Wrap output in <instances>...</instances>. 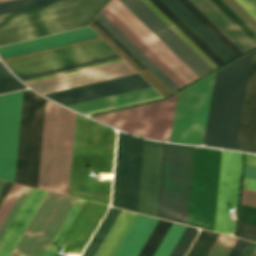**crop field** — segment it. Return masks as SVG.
Here are the masks:
<instances>
[{"instance_id":"obj_28","label":"crop field","mask_w":256,"mask_h":256,"mask_svg":"<svg viewBox=\"0 0 256 256\" xmlns=\"http://www.w3.org/2000/svg\"><path fill=\"white\" fill-rule=\"evenodd\" d=\"M136 214L121 210L96 256H112Z\"/></svg>"},{"instance_id":"obj_61","label":"crop field","mask_w":256,"mask_h":256,"mask_svg":"<svg viewBox=\"0 0 256 256\" xmlns=\"http://www.w3.org/2000/svg\"><path fill=\"white\" fill-rule=\"evenodd\" d=\"M256 10V0H246Z\"/></svg>"},{"instance_id":"obj_13","label":"crop field","mask_w":256,"mask_h":256,"mask_svg":"<svg viewBox=\"0 0 256 256\" xmlns=\"http://www.w3.org/2000/svg\"><path fill=\"white\" fill-rule=\"evenodd\" d=\"M123 4V3H122ZM118 0H111L106 6L120 19L145 45H147L172 71L186 84L198 78L184 65L158 38H156L130 11Z\"/></svg>"},{"instance_id":"obj_15","label":"crop field","mask_w":256,"mask_h":256,"mask_svg":"<svg viewBox=\"0 0 256 256\" xmlns=\"http://www.w3.org/2000/svg\"><path fill=\"white\" fill-rule=\"evenodd\" d=\"M136 72L125 62H118L41 81L28 83L39 92L46 94L90 83L135 74Z\"/></svg>"},{"instance_id":"obj_41","label":"crop field","mask_w":256,"mask_h":256,"mask_svg":"<svg viewBox=\"0 0 256 256\" xmlns=\"http://www.w3.org/2000/svg\"><path fill=\"white\" fill-rule=\"evenodd\" d=\"M235 241L236 238L220 234L208 256H227Z\"/></svg>"},{"instance_id":"obj_39","label":"crop field","mask_w":256,"mask_h":256,"mask_svg":"<svg viewBox=\"0 0 256 256\" xmlns=\"http://www.w3.org/2000/svg\"><path fill=\"white\" fill-rule=\"evenodd\" d=\"M83 203H84L83 200L77 199L72 210L70 211L69 215L67 216L66 220L64 221L62 227L60 228V230L57 233L56 237L54 238L52 244L50 245L49 249L47 250L45 256L53 255L54 251L56 250L57 246L59 245L60 241L62 240L63 236L65 235L66 231L68 230L69 226L71 225L72 221L74 220L75 216L77 215V213L80 210Z\"/></svg>"},{"instance_id":"obj_16","label":"crop field","mask_w":256,"mask_h":256,"mask_svg":"<svg viewBox=\"0 0 256 256\" xmlns=\"http://www.w3.org/2000/svg\"><path fill=\"white\" fill-rule=\"evenodd\" d=\"M138 74L99 82L91 85L46 94L55 100L65 104L81 103L106 96L124 93L136 89L149 87Z\"/></svg>"},{"instance_id":"obj_60","label":"crop field","mask_w":256,"mask_h":256,"mask_svg":"<svg viewBox=\"0 0 256 256\" xmlns=\"http://www.w3.org/2000/svg\"><path fill=\"white\" fill-rule=\"evenodd\" d=\"M245 163L256 166V156L246 154Z\"/></svg>"},{"instance_id":"obj_9","label":"crop field","mask_w":256,"mask_h":256,"mask_svg":"<svg viewBox=\"0 0 256 256\" xmlns=\"http://www.w3.org/2000/svg\"><path fill=\"white\" fill-rule=\"evenodd\" d=\"M176 96L93 117L122 130L158 140H169Z\"/></svg>"},{"instance_id":"obj_11","label":"crop field","mask_w":256,"mask_h":256,"mask_svg":"<svg viewBox=\"0 0 256 256\" xmlns=\"http://www.w3.org/2000/svg\"><path fill=\"white\" fill-rule=\"evenodd\" d=\"M243 154L222 151L214 231L232 233L235 220L230 209H237Z\"/></svg>"},{"instance_id":"obj_62","label":"crop field","mask_w":256,"mask_h":256,"mask_svg":"<svg viewBox=\"0 0 256 256\" xmlns=\"http://www.w3.org/2000/svg\"><path fill=\"white\" fill-rule=\"evenodd\" d=\"M5 184L4 181H0V190L2 189L3 185Z\"/></svg>"},{"instance_id":"obj_27","label":"crop field","mask_w":256,"mask_h":256,"mask_svg":"<svg viewBox=\"0 0 256 256\" xmlns=\"http://www.w3.org/2000/svg\"><path fill=\"white\" fill-rule=\"evenodd\" d=\"M158 95L159 94L152 87H149V88L136 90V91H132L124 94H119L111 97H106V98L89 101L81 104L70 105V107L78 111L85 112L89 110L99 109L103 107H108V106L117 105L121 103L154 97Z\"/></svg>"},{"instance_id":"obj_25","label":"crop field","mask_w":256,"mask_h":256,"mask_svg":"<svg viewBox=\"0 0 256 256\" xmlns=\"http://www.w3.org/2000/svg\"><path fill=\"white\" fill-rule=\"evenodd\" d=\"M157 221L137 214L113 256H137Z\"/></svg>"},{"instance_id":"obj_43","label":"crop field","mask_w":256,"mask_h":256,"mask_svg":"<svg viewBox=\"0 0 256 256\" xmlns=\"http://www.w3.org/2000/svg\"><path fill=\"white\" fill-rule=\"evenodd\" d=\"M115 58H119V56L115 55V56H111V57H106V58L97 59V60H93V61L83 62V63L65 66V67H61V68H56V69H52V70H47V71H43V72L33 73V74H29V75L20 76L19 78L21 80H24V79H28V78H32V77H37V76H41V75H45V74H50V73H54V72H58V71H63V70L76 68V67H80V66H85V65L98 63V62H102V61H106V60H111V59H115Z\"/></svg>"},{"instance_id":"obj_50","label":"crop field","mask_w":256,"mask_h":256,"mask_svg":"<svg viewBox=\"0 0 256 256\" xmlns=\"http://www.w3.org/2000/svg\"><path fill=\"white\" fill-rule=\"evenodd\" d=\"M26 88L16 79L0 82V93Z\"/></svg>"},{"instance_id":"obj_19","label":"crop field","mask_w":256,"mask_h":256,"mask_svg":"<svg viewBox=\"0 0 256 256\" xmlns=\"http://www.w3.org/2000/svg\"><path fill=\"white\" fill-rule=\"evenodd\" d=\"M46 194V191L31 188L0 240V256L11 255Z\"/></svg>"},{"instance_id":"obj_52","label":"crop field","mask_w":256,"mask_h":256,"mask_svg":"<svg viewBox=\"0 0 256 256\" xmlns=\"http://www.w3.org/2000/svg\"><path fill=\"white\" fill-rule=\"evenodd\" d=\"M160 98H162V97L158 96V97L144 99V100L135 101V102H131V103H126V104H122V105H117V106H112V107L103 108V109H99V110L89 111V112H85V114L90 115V114H94V113H99V112H103V111H107V110H112V109H116V108H121V107L129 106V105H134V104H138V103H142V102H147V101H151V100H156V99H160Z\"/></svg>"},{"instance_id":"obj_21","label":"crop field","mask_w":256,"mask_h":256,"mask_svg":"<svg viewBox=\"0 0 256 256\" xmlns=\"http://www.w3.org/2000/svg\"><path fill=\"white\" fill-rule=\"evenodd\" d=\"M242 52L256 43L211 0H189Z\"/></svg>"},{"instance_id":"obj_22","label":"crop field","mask_w":256,"mask_h":256,"mask_svg":"<svg viewBox=\"0 0 256 256\" xmlns=\"http://www.w3.org/2000/svg\"><path fill=\"white\" fill-rule=\"evenodd\" d=\"M224 62L235 57L213 34H211L178 0H161Z\"/></svg>"},{"instance_id":"obj_45","label":"crop field","mask_w":256,"mask_h":256,"mask_svg":"<svg viewBox=\"0 0 256 256\" xmlns=\"http://www.w3.org/2000/svg\"><path fill=\"white\" fill-rule=\"evenodd\" d=\"M218 7H220L243 31H245L255 42L256 35L245 25L243 24L220 0H212Z\"/></svg>"},{"instance_id":"obj_44","label":"crop field","mask_w":256,"mask_h":256,"mask_svg":"<svg viewBox=\"0 0 256 256\" xmlns=\"http://www.w3.org/2000/svg\"><path fill=\"white\" fill-rule=\"evenodd\" d=\"M29 190H30V187L24 186L23 190L21 191L20 195L15 201L13 207L11 208L10 212L8 213L7 217L5 218L4 222L0 227V239L4 234L5 230L7 229L8 225L10 224L11 220L13 219L14 215L16 214L17 210L19 209L21 203L23 202Z\"/></svg>"},{"instance_id":"obj_46","label":"crop field","mask_w":256,"mask_h":256,"mask_svg":"<svg viewBox=\"0 0 256 256\" xmlns=\"http://www.w3.org/2000/svg\"><path fill=\"white\" fill-rule=\"evenodd\" d=\"M238 237L256 241V225L240 221Z\"/></svg>"},{"instance_id":"obj_10","label":"crop field","mask_w":256,"mask_h":256,"mask_svg":"<svg viewBox=\"0 0 256 256\" xmlns=\"http://www.w3.org/2000/svg\"><path fill=\"white\" fill-rule=\"evenodd\" d=\"M23 91L0 96V178L13 181Z\"/></svg>"},{"instance_id":"obj_18","label":"crop field","mask_w":256,"mask_h":256,"mask_svg":"<svg viewBox=\"0 0 256 256\" xmlns=\"http://www.w3.org/2000/svg\"><path fill=\"white\" fill-rule=\"evenodd\" d=\"M98 37L99 36L90 27H86L69 32L3 46L0 47V53L4 57V59H7Z\"/></svg>"},{"instance_id":"obj_42","label":"crop field","mask_w":256,"mask_h":256,"mask_svg":"<svg viewBox=\"0 0 256 256\" xmlns=\"http://www.w3.org/2000/svg\"><path fill=\"white\" fill-rule=\"evenodd\" d=\"M23 185L13 184L11 189L9 190L7 196L5 197L3 203L0 206V225L12 207L14 201L22 190Z\"/></svg>"},{"instance_id":"obj_12","label":"crop field","mask_w":256,"mask_h":256,"mask_svg":"<svg viewBox=\"0 0 256 256\" xmlns=\"http://www.w3.org/2000/svg\"><path fill=\"white\" fill-rule=\"evenodd\" d=\"M198 77L212 70L141 0H119Z\"/></svg>"},{"instance_id":"obj_23","label":"crop field","mask_w":256,"mask_h":256,"mask_svg":"<svg viewBox=\"0 0 256 256\" xmlns=\"http://www.w3.org/2000/svg\"><path fill=\"white\" fill-rule=\"evenodd\" d=\"M44 105L45 100L35 95L26 185L36 188L38 183Z\"/></svg>"},{"instance_id":"obj_3","label":"crop field","mask_w":256,"mask_h":256,"mask_svg":"<svg viewBox=\"0 0 256 256\" xmlns=\"http://www.w3.org/2000/svg\"><path fill=\"white\" fill-rule=\"evenodd\" d=\"M109 0H67L0 16V45L88 25Z\"/></svg>"},{"instance_id":"obj_20","label":"crop field","mask_w":256,"mask_h":256,"mask_svg":"<svg viewBox=\"0 0 256 256\" xmlns=\"http://www.w3.org/2000/svg\"><path fill=\"white\" fill-rule=\"evenodd\" d=\"M236 149L256 151V50L253 53Z\"/></svg>"},{"instance_id":"obj_38","label":"crop field","mask_w":256,"mask_h":256,"mask_svg":"<svg viewBox=\"0 0 256 256\" xmlns=\"http://www.w3.org/2000/svg\"><path fill=\"white\" fill-rule=\"evenodd\" d=\"M62 0H12L0 3V15Z\"/></svg>"},{"instance_id":"obj_56","label":"crop field","mask_w":256,"mask_h":256,"mask_svg":"<svg viewBox=\"0 0 256 256\" xmlns=\"http://www.w3.org/2000/svg\"><path fill=\"white\" fill-rule=\"evenodd\" d=\"M102 41L103 40L96 41V42H91V43H87V44H82V45H78V46H74V47H69V48H65V49H60V50H56V51H51V52H47V53H42V54H38V55H33V56H29V57H25V58H20V59H16V60H11V61H7L6 63L13 62V61H18V60H22V59H27V58H31V57H35V56H40V55H44V54H49V53H53V52H58V51H62V50H67V49H71V48H76V47H80V46H84V45H89V44H93V43H98V42H102Z\"/></svg>"},{"instance_id":"obj_51","label":"crop field","mask_w":256,"mask_h":256,"mask_svg":"<svg viewBox=\"0 0 256 256\" xmlns=\"http://www.w3.org/2000/svg\"><path fill=\"white\" fill-rule=\"evenodd\" d=\"M241 203L256 207V191L243 188Z\"/></svg>"},{"instance_id":"obj_26","label":"crop field","mask_w":256,"mask_h":256,"mask_svg":"<svg viewBox=\"0 0 256 256\" xmlns=\"http://www.w3.org/2000/svg\"><path fill=\"white\" fill-rule=\"evenodd\" d=\"M115 36L151 73H153L171 92L179 89L161 70H159L121 31H119L101 12L96 18Z\"/></svg>"},{"instance_id":"obj_40","label":"crop field","mask_w":256,"mask_h":256,"mask_svg":"<svg viewBox=\"0 0 256 256\" xmlns=\"http://www.w3.org/2000/svg\"><path fill=\"white\" fill-rule=\"evenodd\" d=\"M197 233L198 231L196 229L187 226L170 256H184Z\"/></svg>"},{"instance_id":"obj_24","label":"crop field","mask_w":256,"mask_h":256,"mask_svg":"<svg viewBox=\"0 0 256 256\" xmlns=\"http://www.w3.org/2000/svg\"><path fill=\"white\" fill-rule=\"evenodd\" d=\"M33 99H34V93L29 90H24L16 177H15L16 183H20L24 185L26 180Z\"/></svg>"},{"instance_id":"obj_47","label":"crop field","mask_w":256,"mask_h":256,"mask_svg":"<svg viewBox=\"0 0 256 256\" xmlns=\"http://www.w3.org/2000/svg\"><path fill=\"white\" fill-rule=\"evenodd\" d=\"M122 60H123L122 58H119V59H115V60H111V61H106V62H102V63H98V64H93V65H89V66H85V67H80V68H76V69H72V70H67V71H63V72H58V73H54V74H50V75H45V76H41V77H37V78L24 80V82L25 83L32 82V81H36V80H40V79H45V78H49V77H53V76H58V75L71 73V72H75V71H79V70H84V69H88V68H92V67H97V66L114 63V62H118V61H122Z\"/></svg>"},{"instance_id":"obj_8","label":"crop field","mask_w":256,"mask_h":256,"mask_svg":"<svg viewBox=\"0 0 256 256\" xmlns=\"http://www.w3.org/2000/svg\"><path fill=\"white\" fill-rule=\"evenodd\" d=\"M75 201L48 192L11 256H43Z\"/></svg>"},{"instance_id":"obj_36","label":"crop field","mask_w":256,"mask_h":256,"mask_svg":"<svg viewBox=\"0 0 256 256\" xmlns=\"http://www.w3.org/2000/svg\"><path fill=\"white\" fill-rule=\"evenodd\" d=\"M186 6L212 33H214L236 56L242 53L228 38H226L196 7L188 0H179Z\"/></svg>"},{"instance_id":"obj_35","label":"crop field","mask_w":256,"mask_h":256,"mask_svg":"<svg viewBox=\"0 0 256 256\" xmlns=\"http://www.w3.org/2000/svg\"><path fill=\"white\" fill-rule=\"evenodd\" d=\"M148 5L190 48H192L212 69L218 67L206 56L186 35H184L163 13H161L149 0H142Z\"/></svg>"},{"instance_id":"obj_63","label":"crop field","mask_w":256,"mask_h":256,"mask_svg":"<svg viewBox=\"0 0 256 256\" xmlns=\"http://www.w3.org/2000/svg\"><path fill=\"white\" fill-rule=\"evenodd\" d=\"M252 256H256V249H255L254 253L252 254Z\"/></svg>"},{"instance_id":"obj_58","label":"crop field","mask_w":256,"mask_h":256,"mask_svg":"<svg viewBox=\"0 0 256 256\" xmlns=\"http://www.w3.org/2000/svg\"><path fill=\"white\" fill-rule=\"evenodd\" d=\"M243 187L256 190V180L244 177Z\"/></svg>"},{"instance_id":"obj_48","label":"crop field","mask_w":256,"mask_h":256,"mask_svg":"<svg viewBox=\"0 0 256 256\" xmlns=\"http://www.w3.org/2000/svg\"><path fill=\"white\" fill-rule=\"evenodd\" d=\"M240 220L256 224V208L241 204Z\"/></svg>"},{"instance_id":"obj_5","label":"crop field","mask_w":256,"mask_h":256,"mask_svg":"<svg viewBox=\"0 0 256 256\" xmlns=\"http://www.w3.org/2000/svg\"><path fill=\"white\" fill-rule=\"evenodd\" d=\"M74 119L47 101L38 188L68 195Z\"/></svg>"},{"instance_id":"obj_1","label":"crop field","mask_w":256,"mask_h":256,"mask_svg":"<svg viewBox=\"0 0 256 256\" xmlns=\"http://www.w3.org/2000/svg\"><path fill=\"white\" fill-rule=\"evenodd\" d=\"M144 141L118 133L112 205L137 212ZM163 143L145 140L138 212L156 217ZM194 147L164 143L157 217L186 224Z\"/></svg>"},{"instance_id":"obj_6","label":"crop field","mask_w":256,"mask_h":256,"mask_svg":"<svg viewBox=\"0 0 256 256\" xmlns=\"http://www.w3.org/2000/svg\"><path fill=\"white\" fill-rule=\"evenodd\" d=\"M221 150L195 147L187 224L214 227Z\"/></svg>"},{"instance_id":"obj_4","label":"crop field","mask_w":256,"mask_h":256,"mask_svg":"<svg viewBox=\"0 0 256 256\" xmlns=\"http://www.w3.org/2000/svg\"><path fill=\"white\" fill-rule=\"evenodd\" d=\"M251 55L216 71L203 144L235 149Z\"/></svg>"},{"instance_id":"obj_14","label":"crop field","mask_w":256,"mask_h":256,"mask_svg":"<svg viewBox=\"0 0 256 256\" xmlns=\"http://www.w3.org/2000/svg\"><path fill=\"white\" fill-rule=\"evenodd\" d=\"M115 54L116 53L105 42H102L76 49L13 62L9 63L8 65L17 76H20Z\"/></svg>"},{"instance_id":"obj_49","label":"crop field","mask_w":256,"mask_h":256,"mask_svg":"<svg viewBox=\"0 0 256 256\" xmlns=\"http://www.w3.org/2000/svg\"><path fill=\"white\" fill-rule=\"evenodd\" d=\"M116 45H118L142 70L146 69L122 44H120L96 19L93 21Z\"/></svg>"},{"instance_id":"obj_54","label":"crop field","mask_w":256,"mask_h":256,"mask_svg":"<svg viewBox=\"0 0 256 256\" xmlns=\"http://www.w3.org/2000/svg\"><path fill=\"white\" fill-rule=\"evenodd\" d=\"M244 176L256 179V167L245 164Z\"/></svg>"},{"instance_id":"obj_31","label":"crop field","mask_w":256,"mask_h":256,"mask_svg":"<svg viewBox=\"0 0 256 256\" xmlns=\"http://www.w3.org/2000/svg\"><path fill=\"white\" fill-rule=\"evenodd\" d=\"M120 210L111 207L82 256H94Z\"/></svg>"},{"instance_id":"obj_33","label":"crop field","mask_w":256,"mask_h":256,"mask_svg":"<svg viewBox=\"0 0 256 256\" xmlns=\"http://www.w3.org/2000/svg\"><path fill=\"white\" fill-rule=\"evenodd\" d=\"M219 234L201 230L186 256H207Z\"/></svg>"},{"instance_id":"obj_32","label":"crop field","mask_w":256,"mask_h":256,"mask_svg":"<svg viewBox=\"0 0 256 256\" xmlns=\"http://www.w3.org/2000/svg\"><path fill=\"white\" fill-rule=\"evenodd\" d=\"M221 1L256 34V11L245 0L236 1L255 19L251 17L235 0Z\"/></svg>"},{"instance_id":"obj_53","label":"crop field","mask_w":256,"mask_h":256,"mask_svg":"<svg viewBox=\"0 0 256 256\" xmlns=\"http://www.w3.org/2000/svg\"><path fill=\"white\" fill-rule=\"evenodd\" d=\"M246 243H247L246 240L237 239L234 247L232 248L228 256H239L243 248L245 247Z\"/></svg>"},{"instance_id":"obj_57","label":"crop field","mask_w":256,"mask_h":256,"mask_svg":"<svg viewBox=\"0 0 256 256\" xmlns=\"http://www.w3.org/2000/svg\"><path fill=\"white\" fill-rule=\"evenodd\" d=\"M255 248H256V243L248 241L246 247L244 248L240 256H251Z\"/></svg>"},{"instance_id":"obj_29","label":"crop field","mask_w":256,"mask_h":256,"mask_svg":"<svg viewBox=\"0 0 256 256\" xmlns=\"http://www.w3.org/2000/svg\"><path fill=\"white\" fill-rule=\"evenodd\" d=\"M101 12L119 30H121L157 67H159L179 88L186 85L147 46H145L120 20H118L106 7Z\"/></svg>"},{"instance_id":"obj_17","label":"crop field","mask_w":256,"mask_h":256,"mask_svg":"<svg viewBox=\"0 0 256 256\" xmlns=\"http://www.w3.org/2000/svg\"><path fill=\"white\" fill-rule=\"evenodd\" d=\"M106 209V206L85 201L53 256H58L63 249L81 252Z\"/></svg>"},{"instance_id":"obj_30","label":"crop field","mask_w":256,"mask_h":256,"mask_svg":"<svg viewBox=\"0 0 256 256\" xmlns=\"http://www.w3.org/2000/svg\"><path fill=\"white\" fill-rule=\"evenodd\" d=\"M163 12L184 34H186L206 55L218 66L224 63L210 48H208L180 19H178L160 0H150Z\"/></svg>"},{"instance_id":"obj_34","label":"crop field","mask_w":256,"mask_h":256,"mask_svg":"<svg viewBox=\"0 0 256 256\" xmlns=\"http://www.w3.org/2000/svg\"><path fill=\"white\" fill-rule=\"evenodd\" d=\"M170 225L171 222L159 219L138 256H153Z\"/></svg>"},{"instance_id":"obj_55","label":"crop field","mask_w":256,"mask_h":256,"mask_svg":"<svg viewBox=\"0 0 256 256\" xmlns=\"http://www.w3.org/2000/svg\"><path fill=\"white\" fill-rule=\"evenodd\" d=\"M15 78L13 75H11L6 68L2 65L0 62V81L8 80V79H13Z\"/></svg>"},{"instance_id":"obj_7","label":"crop field","mask_w":256,"mask_h":256,"mask_svg":"<svg viewBox=\"0 0 256 256\" xmlns=\"http://www.w3.org/2000/svg\"><path fill=\"white\" fill-rule=\"evenodd\" d=\"M214 74L178 93L170 141L202 143Z\"/></svg>"},{"instance_id":"obj_37","label":"crop field","mask_w":256,"mask_h":256,"mask_svg":"<svg viewBox=\"0 0 256 256\" xmlns=\"http://www.w3.org/2000/svg\"><path fill=\"white\" fill-rule=\"evenodd\" d=\"M184 229V226L172 224L154 256H169Z\"/></svg>"},{"instance_id":"obj_59","label":"crop field","mask_w":256,"mask_h":256,"mask_svg":"<svg viewBox=\"0 0 256 256\" xmlns=\"http://www.w3.org/2000/svg\"><path fill=\"white\" fill-rule=\"evenodd\" d=\"M11 185H12V183L6 182L5 186L3 185L4 187H3L2 191L0 190L1 191L0 192V204L3 201L4 197L6 196V194H7L8 190L10 189Z\"/></svg>"},{"instance_id":"obj_64","label":"crop field","mask_w":256,"mask_h":256,"mask_svg":"<svg viewBox=\"0 0 256 256\" xmlns=\"http://www.w3.org/2000/svg\"><path fill=\"white\" fill-rule=\"evenodd\" d=\"M7 1V0H0V2Z\"/></svg>"},{"instance_id":"obj_2","label":"crop field","mask_w":256,"mask_h":256,"mask_svg":"<svg viewBox=\"0 0 256 256\" xmlns=\"http://www.w3.org/2000/svg\"><path fill=\"white\" fill-rule=\"evenodd\" d=\"M104 126L77 114L69 195L109 205L111 179L92 178L112 173L116 133Z\"/></svg>"}]
</instances>
